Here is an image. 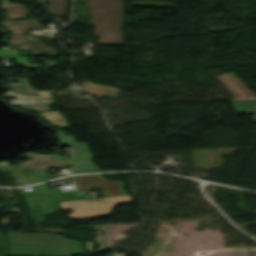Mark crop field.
Returning <instances> with one entry per match:
<instances>
[{"mask_svg": "<svg viewBox=\"0 0 256 256\" xmlns=\"http://www.w3.org/2000/svg\"><path fill=\"white\" fill-rule=\"evenodd\" d=\"M9 255L70 256L84 253L81 242L63 238L58 234L9 232Z\"/></svg>", "mask_w": 256, "mask_h": 256, "instance_id": "obj_1", "label": "crop field"}, {"mask_svg": "<svg viewBox=\"0 0 256 256\" xmlns=\"http://www.w3.org/2000/svg\"><path fill=\"white\" fill-rule=\"evenodd\" d=\"M90 8L99 43L122 44L124 0H84Z\"/></svg>", "mask_w": 256, "mask_h": 256, "instance_id": "obj_2", "label": "crop field"}, {"mask_svg": "<svg viewBox=\"0 0 256 256\" xmlns=\"http://www.w3.org/2000/svg\"><path fill=\"white\" fill-rule=\"evenodd\" d=\"M59 203L62 210H71L70 220L110 216L116 205L132 203L130 195ZM84 205V207H80Z\"/></svg>", "mask_w": 256, "mask_h": 256, "instance_id": "obj_3", "label": "crop field"}, {"mask_svg": "<svg viewBox=\"0 0 256 256\" xmlns=\"http://www.w3.org/2000/svg\"><path fill=\"white\" fill-rule=\"evenodd\" d=\"M1 23L12 32L9 44L21 45V49H29L33 53L56 54L38 38L28 37L24 34L29 27L38 28V21H1Z\"/></svg>", "mask_w": 256, "mask_h": 256, "instance_id": "obj_4", "label": "crop field"}, {"mask_svg": "<svg viewBox=\"0 0 256 256\" xmlns=\"http://www.w3.org/2000/svg\"><path fill=\"white\" fill-rule=\"evenodd\" d=\"M77 191L101 189L103 197L128 194L121 181L108 182L102 175L73 177Z\"/></svg>", "mask_w": 256, "mask_h": 256, "instance_id": "obj_5", "label": "crop field"}, {"mask_svg": "<svg viewBox=\"0 0 256 256\" xmlns=\"http://www.w3.org/2000/svg\"><path fill=\"white\" fill-rule=\"evenodd\" d=\"M91 159L92 156L85 143H72V169L76 173L99 171Z\"/></svg>", "mask_w": 256, "mask_h": 256, "instance_id": "obj_6", "label": "crop field"}, {"mask_svg": "<svg viewBox=\"0 0 256 256\" xmlns=\"http://www.w3.org/2000/svg\"><path fill=\"white\" fill-rule=\"evenodd\" d=\"M18 157L26 159H35L39 161L30 160L28 162L21 163L20 167L35 168L48 170L50 167H69L68 158L59 157V155L43 156L37 154H23ZM42 166V168H39Z\"/></svg>", "mask_w": 256, "mask_h": 256, "instance_id": "obj_7", "label": "crop field"}, {"mask_svg": "<svg viewBox=\"0 0 256 256\" xmlns=\"http://www.w3.org/2000/svg\"><path fill=\"white\" fill-rule=\"evenodd\" d=\"M214 78L226 87L234 100L256 98L232 72L214 76Z\"/></svg>", "mask_w": 256, "mask_h": 256, "instance_id": "obj_8", "label": "crop field"}, {"mask_svg": "<svg viewBox=\"0 0 256 256\" xmlns=\"http://www.w3.org/2000/svg\"><path fill=\"white\" fill-rule=\"evenodd\" d=\"M25 170L26 168L0 166V171L11 172L12 175L19 176V178L14 179L20 185L35 183L47 177V171L31 169L30 172H25Z\"/></svg>", "mask_w": 256, "mask_h": 256, "instance_id": "obj_9", "label": "crop field"}, {"mask_svg": "<svg viewBox=\"0 0 256 256\" xmlns=\"http://www.w3.org/2000/svg\"><path fill=\"white\" fill-rule=\"evenodd\" d=\"M19 83H6L12 91L6 93L8 95H14L22 98H45L49 97V92L33 91L28 85L27 78H18Z\"/></svg>", "mask_w": 256, "mask_h": 256, "instance_id": "obj_10", "label": "crop field"}, {"mask_svg": "<svg viewBox=\"0 0 256 256\" xmlns=\"http://www.w3.org/2000/svg\"><path fill=\"white\" fill-rule=\"evenodd\" d=\"M82 88L90 95L102 98H117L121 89L106 85L86 82Z\"/></svg>", "mask_w": 256, "mask_h": 256, "instance_id": "obj_11", "label": "crop field"}, {"mask_svg": "<svg viewBox=\"0 0 256 256\" xmlns=\"http://www.w3.org/2000/svg\"><path fill=\"white\" fill-rule=\"evenodd\" d=\"M9 103L13 106L21 105L23 109L31 111H47L49 110V105L54 103V100L53 98L41 100L15 98L10 100Z\"/></svg>", "mask_w": 256, "mask_h": 256, "instance_id": "obj_12", "label": "crop field"}, {"mask_svg": "<svg viewBox=\"0 0 256 256\" xmlns=\"http://www.w3.org/2000/svg\"><path fill=\"white\" fill-rule=\"evenodd\" d=\"M1 6L7 14V19H17L28 13V10L19 4L1 3Z\"/></svg>", "mask_w": 256, "mask_h": 256, "instance_id": "obj_13", "label": "crop field"}, {"mask_svg": "<svg viewBox=\"0 0 256 256\" xmlns=\"http://www.w3.org/2000/svg\"><path fill=\"white\" fill-rule=\"evenodd\" d=\"M49 2L47 7L53 16L66 15V6L69 0H40ZM48 10V11H49Z\"/></svg>", "mask_w": 256, "mask_h": 256, "instance_id": "obj_14", "label": "crop field"}, {"mask_svg": "<svg viewBox=\"0 0 256 256\" xmlns=\"http://www.w3.org/2000/svg\"><path fill=\"white\" fill-rule=\"evenodd\" d=\"M238 113L254 112L256 120V99L232 101Z\"/></svg>", "mask_w": 256, "mask_h": 256, "instance_id": "obj_15", "label": "crop field"}, {"mask_svg": "<svg viewBox=\"0 0 256 256\" xmlns=\"http://www.w3.org/2000/svg\"><path fill=\"white\" fill-rule=\"evenodd\" d=\"M52 125H59L62 128L68 127L60 111L37 113Z\"/></svg>", "mask_w": 256, "mask_h": 256, "instance_id": "obj_16", "label": "crop field"}, {"mask_svg": "<svg viewBox=\"0 0 256 256\" xmlns=\"http://www.w3.org/2000/svg\"><path fill=\"white\" fill-rule=\"evenodd\" d=\"M59 141L55 144L71 145L72 142H75L72 136L65 135L62 131H56Z\"/></svg>", "mask_w": 256, "mask_h": 256, "instance_id": "obj_17", "label": "crop field"}, {"mask_svg": "<svg viewBox=\"0 0 256 256\" xmlns=\"http://www.w3.org/2000/svg\"><path fill=\"white\" fill-rule=\"evenodd\" d=\"M32 191H25L23 188H19V192L22 194L23 197H32V196H39L36 192L34 187H31Z\"/></svg>", "mask_w": 256, "mask_h": 256, "instance_id": "obj_18", "label": "crop field"}, {"mask_svg": "<svg viewBox=\"0 0 256 256\" xmlns=\"http://www.w3.org/2000/svg\"><path fill=\"white\" fill-rule=\"evenodd\" d=\"M85 244H86L87 250L92 251L93 245H92L91 241L90 242H85Z\"/></svg>", "mask_w": 256, "mask_h": 256, "instance_id": "obj_19", "label": "crop field"}, {"mask_svg": "<svg viewBox=\"0 0 256 256\" xmlns=\"http://www.w3.org/2000/svg\"><path fill=\"white\" fill-rule=\"evenodd\" d=\"M47 66H48V68H50V67L59 66V64H57L55 62H50Z\"/></svg>", "mask_w": 256, "mask_h": 256, "instance_id": "obj_20", "label": "crop field"}, {"mask_svg": "<svg viewBox=\"0 0 256 256\" xmlns=\"http://www.w3.org/2000/svg\"><path fill=\"white\" fill-rule=\"evenodd\" d=\"M80 196H81L82 199H89V198H91L90 196H87L85 193L80 194Z\"/></svg>", "mask_w": 256, "mask_h": 256, "instance_id": "obj_21", "label": "crop field"}]
</instances>
